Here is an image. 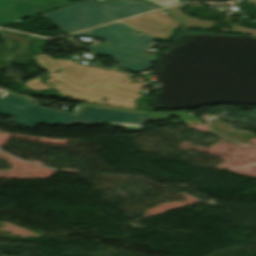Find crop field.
Masks as SVG:
<instances>
[{"label": "crop field", "mask_w": 256, "mask_h": 256, "mask_svg": "<svg viewBox=\"0 0 256 256\" xmlns=\"http://www.w3.org/2000/svg\"><path fill=\"white\" fill-rule=\"evenodd\" d=\"M247 2H249V3H253V4H255V5H256V0H248Z\"/></svg>", "instance_id": "crop-field-14"}, {"label": "crop field", "mask_w": 256, "mask_h": 256, "mask_svg": "<svg viewBox=\"0 0 256 256\" xmlns=\"http://www.w3.org/2000/svg\"><path fill=\"white\" fill-rule=\"evenodd\" d=\"M135 31L136 30L118 22L87 30L72 36L101 37L107 41L109 47L120 49L126 52L133 51L144 54L149 45L152 43L153 38L144 34H132Z\"/></svg>", "instance_id": "crop-field-4"}, {"label": "crop field", "mask_w": 256, "mask_h": 256, "mask_svg": "<svg viewBox=\"0 0 256 256\" xmlns=\"http://www.w3.org/2000/svg\"><path fill=\"white\" fill-rule=\"evenodd\" d=\"M157 8L139 0H86L42 15L71 33Z\"/></svg>", "instance_id": "crop-field-3"}, {"label": "crop field", "mask_w": 256, "mask_h": 256, "mask_svg": "<svg viewBox=\"0 0 256 256\" xmlns=\"http://www.w3.org/2000/svg\"><path fill=\"white\" fill-rule=\"evenodd\" d=\"M179 2H180L179 0H173L172 4H176V3H179Z\"/></svg>", "instance_id": "crop-field-15"}, {"label": "crop field", "mask_w": 256, "mask_h": 256, "mask_svg": "<svg viewBox=\"0 0 256 256\" xmlns=\"http://www.w3.org/2000/svg\"><path fill=\"white\" fill-rule=\"evenodd\" d=\"M48 76L52 78L47 79L45 83L62 95L94 103L142 110L136 103L142 95L136 93L144 85L132 82L120 72L103 71L76 63L62 72ZM55 79L56 82L51 81ZM130 82L132 83L128 84ZM52 83L55 84L51 85ZM26 85L34 90L51 88L40 83L39 78L27 82ZM104 98L107 99L102 102Z\"/></svg>", "instance_id": "crop-field-2"}, {"label": "crop field", "mask_w": 256, "mask_h": 256, "mask_svg": "<svg viewBox=\"0 0 256 256\" xmlns=\"http://www.w3.org/2000/svg\"><path fill=\"white\" fill-rule=\"evenodd\" d=\"M35 61L39 64L42 69H46L47 72L59 70L71 63L72 61L67 60H53L49 56L40 54L34 57Z\"/></svg>", "instance_id": "crop-field-8"}, {"label": "crop field", "mask_w": 256, "mask_h": 256, "mask_svg": "<svg viewBox=\"0 0 256 256\" xmlns=\"http://www.w3.org/2000/svg\"><path fill=\"white\" fill-rule=\"evenodd\" d=\"M18 2L61 4V5H71L75 3L69 0H0V12H5L9 10L13 5L17 4Z\"/></svg>", "instance_id": "crop-field-9"}, {"label": "crop field", "mask_w": 256, "mask_h": 256, "mask_svg": "<svg viewBox=\"0 0 256 256\" xmlns=\"http://www.w3.org/2000/svg\"><path fill=\"white\" fill-rule=\"evenodd\" d=\"M0 114L11 116L13 118L9 122L30 129L40 124L90 125L108 122L110 125L127 126V131H134L142 130L146 121L167 120L169 118V112L154 113L87 103H80L72 114H65L10 94L5 99L0 98Z\"/></svg>", "instance_id": "crop-field-1"}, {"label": "crop field", "mask_w": 256, "mask_h": 256, "mask_svg": "<svg viewBox=\"0 0 256 256\" xmlns=\"http://www.w3.org/2000/svg\"><path fill=\"white\" fill-rule=\"evenodd\" d=\"M87 50L93 51L95 53H102L107 56L115 58L120 65H122L125 69H128L132 72H139L143 70H147L150 68V58H146L143 56L125 53L113 49H108L100 46H92V47H82Z\"/></svg>", "instance_id": "crop-field-6"}, {"label": "crop field", "mask_w": 256, "mask_h": 256, "mask_svg": "<svg viewBox=\"0 0 256 256\" xmlns=\"http://www.w3.org/2000/svg\"><path fill=\"white\" fill-rule=\"evenodd\" d=\"M165 13L160 10L122 21L166 41L172 35L174 29L179 26V22Z\"/></svg>", "instance_id": "crop-field-5"}, {"label": "crop field", "mask_w": 256, "mask_h": 256, "mask_svg": "<svg viewBox=\"0 0 256 256\" xmlns=\"http://www.w3.org/2000/svg\"><path fill=\"white\" fill-rule=\"evenodd\" d=\"M171 115H175L176 117H178L181 120V121H177L179 123H186V124L202 123L201 121L194 118L192 115H190L186 111L172 112Z\"/></svg>", "instance_id": "crop-field-10"}, {"label": "crop field", "mask_w": 256, "mask_h": 256, "mask_svg": "<svg viewBox=\"0 0 256 256\" xmlns=\"http://www.w3.org/2000/svg\"><path fill=\"white\" fill-rule=\"evenodd\" d=\"M185 5H179L166 9V11L177 20L183 23L182 27H200L206 29H212L217 23L208 20L192 18L185 13L179 11Z\"/></svg>", "instance_id": "crop-field-7"}, {"label": "crop field", "mask_w": 256, "mask_h": 256, "mask_svg": "<svg viewBox=\"0 0 256 256\" xmlns=\"http://www.w3.org/2000/svg\"><path fill=\"white\" fill-rule=\"evenodd\" d=\"M98 1H100V0H98ZM146 1H149L153 4H156V5L161 6V7L168 6L172 2V0H146Z\"/></svg>", "instance_id": "crop-field-11"}, {"label": "crop field", "mask_w": 256, "mask_h": 256, "mask_svg": "<svg viewBox=\"0 0 256 256\" xmlns=\"http://www.w3.org/2000/svg\"><path fill=\"white\" fill-rule=\"evenodd\" d=\"M6 37L12 38V39H15V40H18V41H22V42L28 40L24 37H20V36H16V35H10V34H6Z\"/></svg>", "instance_id": "crop-field-13"}, {"label": "crop field", "mask_w": 256, "mask_h": 256, "mask_svg": "<svg viewBox=\"0 0 256 256\" xmlns=\"http://www.w3.org/2000/svg\"><path fill=\"white\" fill-rule=\"evenodd\" d=\"M230 31L244 32V33H249V34H251V33H256V30L244 29V28H242V27H240V26H238V25L232 26L231 29H230Z\"/></svg>", "instance_id": "crop-field-12"}]
</instances>
